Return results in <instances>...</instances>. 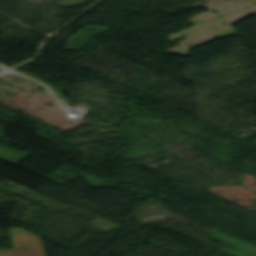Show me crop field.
I'll return each mask as SVG.
<instances>
[{"label":"crop field","mask_w":256,"mask_h":256,"mask_svg":"<svg viewBox=\"0 0 256 256\" xmlns=\"http://www.w3.org/2000/svg\"><path fill=\"white\" fill-rule=\"evenodd\" d=\"M13 250H0V256H45L39 237L21 229H10Z\"/></svg>","instance_id":"8a807250"}]
</instances>
